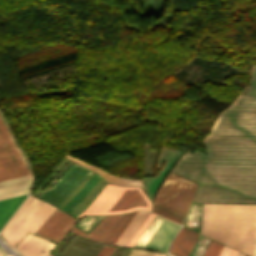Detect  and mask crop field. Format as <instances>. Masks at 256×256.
Listing matches in <instances>:
<instances>
[{
    "label": "crop field",
    "mask_w": 256,
    "mask_h": 256,
    "mask_svg": "<svg viewBox=\"0 0 256 256\" xmlns=\"http://www.w3.org/2000/svg\"><path fill=\"white\" fill-rule=\"evenodd\" d=\"M197 185L170 172L157 192L154 202L185 216Z\"/></svg>",
    "instance_id": "3"
},
{
    "label": "crop field",
    "mask_w": 256,
    "mask_h": 256,
    "mask_svg": "<svg viewBox=\"0 0 256 256\" xmlns=\"http://www.w3.org/2000/svg\"><path fill=\"white\" fill-rule=\"evenodd\" d=\"M55 209L44 202L8 243L13 247L27 231L34 233Z\"/></svg>",
    "instance_id": "10"
},
{
    "label": "crop field",
    "mask_w": 256,
    "mask_h": 256,
    "mask_svg": "<svg viewBox=\"0 0 256 256\" xmlns=\"http://www.w3.org/2000/svg\"><path fill=\"white\" fill-rule=\"evenodd\" d=\"M246 256V255H245Z\"/></svg>",
    "instance_id": "35"
},
{
    "label": "crop field",
    "mask_w": 256,
    "mask_h": 256,
    "mask_svg": "<svg viewBox=\"0 0 256 256\" xmlns=\"http://www.w3.org/2000/svg\"><path fill=\"white\" fill-rule=\"evenodd\" d=\"M6 253L0 248V256H4Z\"/></svg>",
    "instance_id": "31"
},
{
    "label": "crop field",
    "mask_w": 256,
    "mask_h": 256,
    "mask_svg": "<svg viewBox=\"0 0 256 256\" xmlns=\"http://www.w3.org/2000/svg\"><path fill=\"white\" fill-rule=\"evenodd\" d=\"M163 221V218L155 216V218L152 220L150 225L147 227L143 235L140 237L138 242L135 244V246L138 247H144V245L147 243V241L150 239L152 234L155 232L157 227L160 225V223Z\"/></svg>",
    "instance_id": "20"
},
{
    "label": "crop field",
    "mask_w": 256,
    "mask_h": 256,
    "mask_svg": "<svg viewBox=\"0 0 256 256\" xmlns=\"http://www.w3.org/2000/svg\"><path fill=\"white\" fill-rule=\"evenodd\" d=\"M247 205L216 204L212 238L242 252Z\"/></svg>",
    "instance_id": "2"
},
{
    "label": "crop field",
    "mask_w": 256,
    "mask_h": 256,
    "mask_svg": "<svg viewBox=\"0 0 256 256\" xmlns=\"http://www.w3.org/2000/svg\"><path fill=\"white\" fill-rule=\"evenodd\" d=\"M121 216L122 215L106 216L89 235L85 234L75 226L73 227L71 232H74L86 238L103 242V240L106 238L110 230L113 228V226L116 224Z\"/></svg>",
    "instance_id": "12"
},
{
    "label": "crop field",
    "mask_w": 256,
    "mask_h": 256,
    "mask_svg": "<svg viewBox=\"0 0 256 256\" xmlns=\"http://www.w3.org/2000/svg\"><path fill=\"white\" fill-rule=\"evenodd\" d=\"M46 242L47 240L28 233L16 246V250L24 256H39Z\"/></svg>",
    "instance_id": "13"
},
{
    "label": "crop field",
    "mask_w": 256,
    "mask_h": 256,
    "mask_svg": "<svg viewBox=\"0 0 256 256\" xmlns=\"http://www.w3.org/2000/svg\"><path fill=\"white\" fill-rule=\"evenodd\" d=\"M105 216H85L75 226L90 232Z\"/></svg>",
    "instance_id": "21"
},
{
    "label": "crop field",
    "mask_w": 256,
    "mask_h": 256,
    "mask_svg": "<svg viewBox=\"0 0 256 256\" xmlns=\"http://www.w3.org/2000/svg\"><path fill=\"white\" fill-rule=\"evenodd\" d=\"M229 251H230V248L224 246V248H223V250H222L220 256H227L228 253H229Z\"/></svg>",
    "instance_id": "28"
},
{
    "label": "crop field",
    "mask_w": 256,
    "mask_h": 256,
    "mask_svg": "<svg viewBox=\"0 0 256 256\" xmlns=\"http://www.w3.org/2000/svg\"><path fill=\"white\" fill-rule=\"evenodd\" d=\"M55 246H56L55 244L48 241L47 244L42 249V251H45V253L42 252V254L40 256H51V255H49V253L52 251V249Z\"/></svg>",
    "instance_id": "26"
},
{
    "label": "crop field",
    "mask_w": 256,
    "mask_h": 256,
    "mask_svg": "<svg viewBox=\"0 0 256 256\" xmlns=\"http://www.w3.org/2000/svg\"><path fill=\"white\" fill-rule=\"evenodd\" d=\"M29 174L25 161L0 117V181Z\"/></svg>",
    "instance_id": "4"
},
{
    "label": "crop field",
    "mask_w": 256,
    "mask_h": 256,
    "mask_svg": "<svg viewBox=\"0 0 256 256\" xmlns=\"http://www.w3.org/2000/svg\"><path fill=\"white\" fill-rule=\"evenodd\" d=\"M148 215H149V212L139 211V213L136 215V217L133 219V221L130 223V225L127 227V229L124 231V233L118 239V241L115 243V245L126 246L127 243L134 236V234L141 227V225L143 224V222L145 221V219L147 218Z\"/></svg>",
    "instance_id": "14"
},
{
    "label": "crop field",
    "mask_w": 256,
    "mask_h": 256,
    "mask_svg": "<svg viewBox=\"0 0 256 256\" xmlns=\"http://www.w3.org/2000/svg\"><path fill=\"white\" fill-rule=\"evenodd\" d=\"M222 248L223 245L212 240L204 256H219Z\"/></svg>",
    "instance_id": "23"
},
{
    "label": "crop field",
    "mask_w": 256,
    "mask_h": 256,
    "mask_svg": "<svg viewBox=\"0 0 256 256\" xmlns=\"http://www.w3.org/2000/svg\"><path fill=\"white\" fill-rule=\"evenodd\" d=\"M114 247H110L105 245L104 248L100 251L97 256H110V254L114 251Z\"/></svg>",
    "instance_id": "27"
},
{
    "label": "crop field",
    "mask_w": 256,
    "mask_h": 256,
    "mask_svg": "<svg viewBox=\"0 0 256 256\" xmlns=\"http://www.w3.org/2000/svg\"><path fill=\"white\" fill-rule=\"evenodd\" d=\"M197 236L198 233L183 227L173 240L169 252L175 256H188Z\"/></svg>",
    "instance_id": "11"
},
{
    "label": "crop field",
    "mask_w": 256,
    "mask_h": 256,
    "mask_svg": "<svg viewBox=\"0 0 256 256\" xmlns=\"http://www.w3.org/2000/svg\"><path fill=\"white\" fill-rule=\"evenodd\" d=\"M66 158L67 159H70L72 161H75L87 168H90L98 173H100L106 180L112 182V183H115V184H118V185H142V181L141 180H130V179H122L120 177H117V176H114V175H110L108 173H105L104 171H102L101 169L99 168H96L94 166H91V165H88L86 163H83L75 158H72V157H69L68 155H66Z\"/></svg>",
    "instance_id": "18"
},
{
    "label": "crop field",
    "mask_w": 256,
    "mask_h": 256,
    "mask_svg": "<svg viewBox=\"0 0 256 256\" xmlns=\"http://www.w3.org/2000/svg\"><path fill=\"white\" fill-rule=\"evenodd\" d=\"M154 256H166V255H162V254L155 253Z\"/></svg>",
    "instance_id": "33"
},
{
    "label": "crop field",
    "mask_w": 256,
    "mask_h": 256,
    "mask_svg": "<svg viewBox=\"0 0 256 256\" xmlns=\"http://www.w3.org/2000/svg\"><path fill=\"white\" fill-rule=\"evenodd\" d=\"M235 254H236V251L231 250V252H230L229 256H235Z\"/></svg>",
    "instance_id": "30"
},
{
    "label": "crop field",
    "mask_w": 256,
    "mask_h": 256,
    "mask_svg": "<svg viewBox=\"0 0 256 256\" xmlns=\"http://www.w3.org/2000/svg\"><path fill=\"white\" fill-rule=\"evenodd\" d=\"M8 256H12V255H8Z\"/></svg>",
    "instance_id": "34"
},
{
    "label": "crop field",
    "mask_w": 256,
    "mask_h": 256,
    "mask_svg": "<svg viewBox=\"0 0 256 256\" xmlns=\"http://www.w3.org/2000/svg\"><path fill=\"white\" fill-rule=\"evenodd\" d=\"M253 256H256V231H255V242H254V252Z\"/></svg>",
    "instance_id": "29"
},
{
    "label": "crop field",
    "mask_w": 256,
    "mask_h": 256,
    "mask_svg": "<svg viewBox=\"0 0 256 256\" xmlns=\"http://www.w3.org/2000/svg\"><path fill=\"white\" fill-rule=\"evenodd\" d=\"M100 178L99 175L94 173L80 191L62 209L70 212L86 196Z\"/></svg>",
    "instance_id": "17"
},
{
    "label": "crop field",
    "mask_w": 256,
    "mask_h": 256,
    "mask_svg": "<svg viewBox=\"0 0 256 256\" xmlns=\"http://www.w3.org/2000/svg\"><path fill=\"white\" fill-rule=\"evenodd\" d=\"M154 252H147L139 249H132L129 256H153Z\"/></svg>",
    "instance_id": "25"
},
{
    "label": "crop field",
    "mask_w": 256,
    "mask_h": 256,
    "mask_svg": "<svg viewBox=\"0 0 256 256\" xmlns=\"http://www.w3.org/2000/svg\"><path fill=\"white\" fill-rule=\"evenodd\" d=\"M236 256H244V254L237 252Z\"/></svg>",
    "instance_id": "32"
},
{
    "label": "crop field",
    "mask_w": 256,
    "mask_h": 256,
    "mask_svg": "<svg viewBox=\"0 0 256 256\" xmlns=\"http://www.w3.org/2000/svg\"><path fill=\"white\" fill-rule=\"evenodd\" d=\"M44 201L31 195L24 201L16 213L11 217L1 230V234L8 242L30 216L39 208ZM1 235V236H2Z\"/></svg>",
    "instance_id": "7"
},
{
    "label": "crop field",
    "mask_w": 256,
    "mask_h": 256,
    "mask_svg": "<svg viewBox=\"0 0 256 256\" xmlns=\"http://www.w3.org/2000/svg\"><path fill=\"white\" fill-rule=\"evenodd\" d=\"M75 164L73 163L68 168V170L55 183V185L42 197V199L59 206L74 189H77L81 186V184L89 176L91 171L84 169L82 167H79L80 165L77 166L78 164L77 165ZM74 165L75 167L73 169L72 167ZM71 168L73 170L62 181V179L66 176V174L71 170Z\"/></svg>",
    "instance_id": "5"
},
{
    "label": "crop field",
    "mask_w": 256,
    "mask_h": 256,
    "mask_svg": "<svg viewBox=\"0 0 256 256\" xmlns=\"http://www.w3.org/2000/svg\"><path fill=\"white\" fill-rule=\"evenodd\" d=\"M179 227V225L164 219L145 247L166 252L171 239Z\"/></svg>",
    "instance_id": "8"
},
{
    "label": "crop field",
    "mask_w": 256,
    "mask_h": 256,
    "mask_svg": "<svg viewBox=\"0 0 256 256\" xmlns=\"http://www.w3.org/2000/svg\"><path fill=\"white\" fill-rule=\"evenodd\" d=\"M76 221L77 219L56 209L35 234L58 243Z\"/></svg>",
    "instance_id": "6"
},
{
    "label": "crop field",
    "mask_w": 256,
    "mask_h": 256,
    "mask_svg": "<svg viewBox=\"0 0 256 256\" xmlns=\"http://www.w3.org/2000/svg\"><path fill=\"white\" fill-rule=\"evenodd\" d=\"M151 202L141 187H120L107 183L94 201L77 217L84 214H115L136 209L150 211Z\"/></svg>",
    "instance_id": "1"
},
{
    "label": "crop field",
    "mask_w": 256,
    "mask_h": 256,
    "mask_svg": "<svg viewBox=\"0 0 256 256\" xmlns=\"http://www.w3.org/2000/svg\"><path fill=\"white\" fill-rule=\"evenodd\" d=\"M27 195L0 201V228L4 225V223L13 214Z\"/></svg>",
    "instance_id": "15"
},
{
    "label": "crop field",
    "mask_w": 256,
    "mask_h": 256,
    "mask_svg": "<svg viewBox=\"0 0 256 256\" xmlns=\"http://www.w3.org/2000/svg\"><path fill=\"white\" fill-rule=\"evenodd\" d=\"M138 213V211L125 214L122 216V218L117 222V224L114 226V228L111 230L107 238L104 240L105 243H109L114 245V243L117 241V239L120 237V235L123 233V231L126 229V227L129 225V223L132 221V219L135 217V215Z\"/></svg>",
    "instance_id": "16"
},
{
    "label": "crop field",
    "mask_w": 256,
    "mask_h": 256,
    "mask_svg": "<svg viewBox=\"0 0 256 256\" xmlns=\"http://www.w3.org/2000/svg\"><path fill=\"white\" fill-rule=\"evenodd\" d=\"M32 187V174L0 182V200L27 194Z\"/></svg>",
    "instance_id": "9"
},
{
    "label": "crop field",
    "mask_w": 256,
    "mask_h": 256,
    "mask_svg": "<svg viewBox=\"0 0 256 256\" xmlns=\"http://www.w3.org/2000/svg\"><path fill=\"white\" fill-rule=\"evenodd\" d=\"M215 204H203L201 233L210 237L214 217Z\"/></svg>",
    "instance_id": "19"
},
{
    "label": "crop field",
    "mask_w": 256,
    "mask_h": 256,
    "mask_svg": "<svg viewBox=\"0 0 256 256\" xmlns=\"http://www.w3.org/2000/svg\"><path fill=\"white\" fill-rule=\"evenodd\" d=\"M155 215L151 214L148 216L142 227L139 229V231L135 234V236L132 238V240L128 243L127 246H133V244L136 242V240L139 238V236L142 234V232L145 230V228L148 226V224L151 222V220L154 218Z\"/></svg>",
    "instance_id": "24"
},
{
    "label": "crop field",
    "mask_w": 256,
    "mask_h": 256,
    "mask_svg": "<svg viewBox=\"0 0 256 256\" xmlns=\"http://www.w3.org/2000/svg\"><path fill=\"white\" fill-rule=\"evenodd\" d=\"M152 212L156 213V214H159L163 217H166L168 219H171L175 222H178L180 224H182L183 222V219H184V216L180 215V214H177L171 210H168L164 207H161L157 204L154 203L153 205V208H152Z\"/></svg>",
    "instance_id": "22"
}]
</instances>
